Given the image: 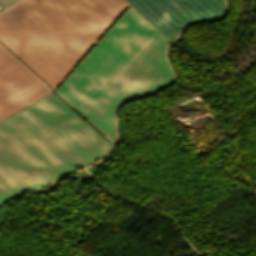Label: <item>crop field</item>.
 <instances>
[{"label":"crop field","mask_w":256,"mask_h":256,"mask_svg":"<svg viewBox=\"0 0 256 256\" xmlns=\"http://www.w3.org/2000/svg\"><path fill=\"white\" fill-rule=\"evenodd\" d=\"M171 40L185 23L220 16L222 0H127Z\"/></svg>","instance_id":"obj_4"},{"label":"crop field","mask_w":256,"mask_h":256,"mask_svg":"<svg viewBox=\"0 0 256 256\" xmlns=\"http://www.w3.org/2000/svg\"><path fill=\"white\" fill-rule=\"evenodd\" d=\"M18 0H0V8L3 10Z\"/></svg>","instance_id":"obj_6"},{"label":"crop field","mask_w":256,"mask_h":256,"mask_svg":"<svg viewBox=\"0 0 256 256\" xmlns=\"http://www.w3.org/2000/svg\"><path fill=\"white\" fill-rule=\"evenodd\" d=\"M111 145L53 92L0 122V202L105 154Z\"/></svg>","instance_id":"obj_2"},{"label":"crop field","mask_w":256,"mask_h":256,"mask_svg":"<svg viewBox=\"0 0 256 256\" xmlns=\"http://www.w3.org/2000/svg\"><path fill=\"white\" fill-rule=\"evenodd\" d=\"M50 91L0 46V120Z\"/></svg>","instance_id":"obj_5"},{"label":"crop field","mask_w":256,"mask_h":256,"mask_svg":"<svg viewBox=\"0 0 256 256\" xmlns=\"http://www.w3.org/2000/svg\"><path fill=\"white\" fill-rule=\"evenodd\" d=\"M136 14H138L130 5ZM119 19L98 45L58 89L54 90L84 118L114 141L113 111L129 98L149 93L170 82L164 59L169 39L131 9Z\"/></svg>","instance_id":"obj_1"},{"label":"crop field","mask_w":256,"mask_h":256,"mask_svg":"<svg viewBox=\"0 0 256 256\" xmlns=\"http://www.w3.org/2000/svg\"><path fill=\"white\" fill-rule=\"evenodd\" d=\"M126 5L23 0L0 13V42L54 89Z\"/></svg>","instance_id":"obj_3"}]
</instances>
